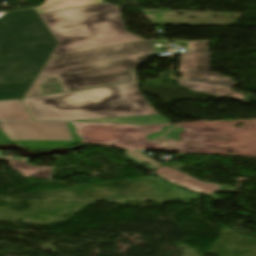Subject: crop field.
<instances>
[{
    "label": "crop field",
    "instance_id": "3",
    "mask_svg": "<svg viewBox=\"0 0 256 256\" xmlns=\"http://www.w3.org/2000/svg\"><path fill=\"white\" fill-rule=\"evenodd\" d=\"M56 43L33 8L0 18V99L23 98Z\"/></svg>",
    "mask_w": 256,
    "mask_h": 256
},
{
    "label": "crop field",
    "instance_id": "15",
    "mask_svg": "<svg viewBox=\"0 0 256 256\" xmlns=\"http://www.w3.org/2000/svg\"><path fill=\"white\" fill-rule=\"evenodd\" d=\"M236 188L234 187H221L215 192H235Z\"/></svg>",
    "mask_w": 256,
    "mask_h": 256
},
{
    "label": "crop field",
    "instance_id": "18",
    "mask_svg": "<svg viewBox=\"0 0 256 256\" xmlns=\"http://www.w3.org/2000/svg\"><path fill=\"white\" fill-rule=\"evenodd\" d=\"M209 197H211L212 199L218 201V200H221V198H219L217 195H215L214 193L211 194V195H208Z\"/></svg>",
    "mask_w": 256,
    "mask_h": 256
},
{
    "label": "crop field",
    "instance_id": "7",
    "mask_svg": "<svg viewBox=\"0 0 256 256\" xmlns=\"http://www.w3.org/2000/svg\"><path fill=\"white\" fill-rule=\"evenodd\" d=\"M177 81L179 85L185 86L194 92L211 94L219 97L223 95L240 98V99H243L245 97L244 94L231 92L232 89L226 88V87H221V86H216V85L201 83V82H195V81H187V80H177Z\"/></svg>",
    "mask_w": 256,
    "mask_h": 256
},
{
    "label": "crop field",
    "instance_id": "14",
    "mask_svg": "<svg viewBox=\"0 0 256 256\" xmlns=\"http://www.w3.org/2000/svg\"><path fill=\"white\" fill-rule=\"evenodd\" d=\"M126 155H128L140 162H148L154 168H157L160 166V164L152 161L151 159H149L148 157H146L145 155H143L142 153L137 152V151L128 150V151H126Z\"/></svg>",
    "mask_w": 256,
    "mask_h": 256
},
{
    "label": "crop field",
    "instance_id": "5",
    "mask_svg": "<svg viewBox=\"0 0 256 256\" xmlns=\"http://www.w3.org/2000/svg\"><path fill=\"white\" fill-rule=\"evenodd\" d=\"M0 130L30 151L81 142L70 122H0Z\"/></svg>",
    "mask_w": 256,
    "mask_h": 256
},
{
    "label": "crop field",
    "instance_id": "13",
    "mask_svg": "<svg viewBox=\"0 0 256 256\" xmlns=\"http://www.w3.org/2000/svg\"><path fill=\"white\" fill-rule=\"evenodd\" d=\"M155 174L165 178V180L169 183L172 184H178L179 182H181L185 177H187L186 175L179 173L177 171H174L170 168H167L165 166L161 167L160 169H158L157 171H155Z\"/></svg>",
    "mask_w": 256,
    "mask_h": 256
},
{
    "label": "crop field",
    "instance_id": "6",
    "mask_svg": "<svg viewBox=\"0 0 256 256\" xmlns=\"http://www.w3.org/2000/svg\"><path fill=\"white\" fill-rule=\"evenodd\" d=\"M210 52L208 41L189 42L188 53H181L179 73L181 78L195 79L233 87L238 82L208 71Z\"/></svg>",
    "mask_w": 256,
    "mask_h": 256
},
{
    "label": "crop field",
    "instance_id": "4",
    "mask_svg": "<svg viewBox=\"0 0 256 256\" xmlns=\"http://www.w3.org/2000/svg\"><path fill=\"white\" fill-rule=\"evenodd\" d=\"M40 17L58 41L50 56L142 40L126 32L119 7L108 3Z\"/></svg>",
    "mask_w": 256,
    "mask_h": 256
},
{
    "label": "crop field",
    "instance_id": "1",
    "mask_svg": "<svg viewBox=\"0 0 256 256\" xmlns=\"http://www.w3.org/2000/svg\"><path fill=\"white\" fill-rule=\"evenodd\" d=\"M33 120L118 122L134 125L169 123L141 96L137 82L72 93L22 99Z\"/></svg>",
    "mask_w": 256,
    "mask_h": 256
},
{
    "label": "crop field",
    "instance_id": "8",
    "mask_svg": "<svg viewBox=\"0 0 256 256\" xmlns=\"http://www.w3.org/2000/svg\"><path fill=\"white\" fill-rule=\"evenodd\" d=\"M0 120H32L20 100L0 101Z\"/></svg>",
    "mask_w": 256,
    "mask_h": 256
},
{
    "label": "crop field",
    "instance_id": "9",
    "mask_svg": "<svg viewBox=\"0 0 256 256\" xmlns=\"http://www.w3.org/2000/svg\"><path fill=\"white\" fill-rule=\"evenodd\" d=\"M100 2H104V0H46L43 5L35 8V10L38 14H42Z\"/></svg>",
    "mask_w": 256,
    "mask_h": 256
},
{
    "label": "crop field",
    "instance_id": "11",
    "mask_svg": "<svg viewBox=\"0 0 256 256\" xmlns=\"http://www.w3.org/2000/svg\"><path fill=\"white\" fill-rule=\"evenodd\" d=\"M182 130L183 128L175 125L165 126L163 127L162 132L151 133L145 138L150 141L158 142L165 146L174 147L180 139L178 135L181 133Z\"/></svg>",
    "mask_w": 256,
    "mask_h": 256
},
{
    "label": "crop field",
    "instance_id": "12",
    "mask_svg": "<svg viewBox=\"0 0 256 256\" xmlns=\"http://www.w3.org/2000/svg\"><path fill=\"white\" fill-rule=\"evenodd\" d=\"M179 186L201 194H210L220 187L215 184L202 183L190 176L179 183Z\"/></svg>",
    "mask_w": 256,
    "mask_h": 256
},
{
    "label": "crop field",
    "instance_id": "10",
    "mask_svg": "<svg viewBox=\"0 0 256 256\" xmlns=\"http://www.w3.org/2000/svg\"><path fill=\"white\" fill-rule=\"evenodd\" d=\"M0 159L9 161L13 169L21 172L23 176H28V177L49 179L53 169L49 167L31 166L25 162L11 160V159H5V158H0Z\"/></svg>",
    "mask_w": 256,
    "mask_h": 256
},
{
    "label": "crop field",
    "instance_id": "17",
    "mask_svg": "<svg viewBox=\"0 0 256 256\" xmlns=\"http://www.w3.org/2000/svg\"><path fill=\"white\" fill-rule=\"evenodd\" d=\"M168 166H170V167H172V168H174V169H176V170H180V169H182L185 165H182V164H178V163L173 162V163L169 164Z\"/></svg>",
    "mask_w": 256,
    "mask_h": 256
},
{
    "label": "crop field",
    "instance_id": "16",
    "mask_svg": "<svg viewBox=\"0 0 256 256\" xmlns=\"http://www.w3.org/2000/svg\"><path fill=\"white\" fill-rule=\"evenodd\" d=\"M12 143L1 131H0V144Z\"/></svg>",
    "mask_w": 256,
    "mask_h": 256
},
{
    "label": "crop field",
    "instance_id": "2",
    "mask_svg": "<svg viewBox=\"0 0 256 256\" xmlns=\"http://www.w3.org/2000/svg\"><path fill=\"white\" fill-rule=\"evenodd\" d=\"M155 51L142 40L49 58L24 98L39 95L45 78L56 77L63 91L137 81L133 69Z\"/></svg>",
    "mask_w": 256,
    "mask_h": 256
}]
</instances>
